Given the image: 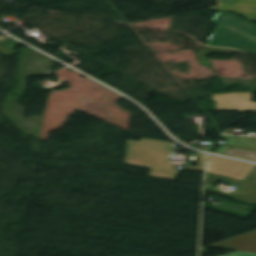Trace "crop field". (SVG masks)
<instances>
[{
    "instance_id": "8a807250",
    "label": "crop field",
    "mask_w": 256,
    "mask_h": 256,
    "mask_svg": "<svg viewBox=\"0 0 256 256\" xmlns=\"http://www.w3.org/2000/svg\"><path fill=\"white\" fill-rule=\"evenodd\" d=\"M175 144L141 138L128 141L124 164L151 168L147 176L175 180L181 170L169 163Z\"/></svg>"
},
{
    "instance_id": "ac0d7876",
    "label": "crop field",
    "mask_w": 256,
    "mask_h": 256,
    "mask_svg": "<svg viewBox=\"0 0 256 256\" xmlns=\"http://www.w3.org/2000/svg\"><path fill=\"white\" fill-rule=\"evenodd\" d=\"M217 179L241 185L231 194L205 188L206 191L256 203V166L243 182L207 173L206 183L212 185Z\"/></svg>"
},
{
    "instance_id": "34b2d1b8",
    "label": "crop field",
    "mask_w": 256,
    "mask_h": 256,
    "mask_svg": "<svg viewBox=\"0 0 256 256\" xmlns=\"http://www.w3.org/2000/svg\"><path fill=\"white\" fill-rule=\"evenodd\" d=\"M206 45L236 48L244 52H256V41L216 26Z\"/></svg>"
},
{
    "instance_id": "412701ff",
    "label": "crop field",
    "mask_w": 256,
    "mask_h": 256,
    "mask_svg": "<svg viewBox=\"0 0 256 256\" xmlns=\"http://www.w3.org/2000/svg\"><path fill=\"white\" fill-rule=\"evenodd\" d=\"M254 166L209 155L207 172L243 181Z\"/></svg>"
},
{
    "instance_id": "f4fd0767",
    "label": "crop field",
    "mask_w": 256,
    "mask_h": 256,
    "mask_svg": "<svg viewBox=\"0 0 256 256\" xmlns=\"http://www.w3.org/2000/svg\"><path fill=\"white\" fill-rule=\"evenodd\" d=\"M212 21L217 25L256 40V25L254 24L223 12H217Z\"/></svg>"
},
{
    "instance_id": "dd49c442",
    "label": "crop field",
    "mask_w": 256,
    "mask_h": 256,
    "mask_svg": "<svg viewBox=\"0 0 256 256\" xmlns=\"http://www.w3.org/2000/svg\"><path fill=\"white\" fill-rule=\"evenodd\" d=\"M215 10L234 11L237 15L256 20V0H219Z\"/></svg>"
},
{
    "instance_id": "e52e79f7",
    "label": "crop field",
    "mask_w": 256,
    "mask_h": 256,
    "mask_svg": "<svg viewBox=\"0 0 256 256\" xmlns=\"http://www.w3.org/2000/svg\"><path fill=\"white\" fill-rule=\"evenodd\" d=\"M213 245L219 249L256 252V230Z\"/></svg>"
},
{
    "instance_id": "d8731c3e",
    "label": "crop field",
    "mask_w": 256,
    "mask_h": 256,
    "mask_svg": "<svg viewBox=\"0 0 256 256\" xmlns=\"http://www.w3.org/2000/svg\"><path fill=\"white\" fill-rule=\"evenodd\" d=\"M235 51H237V50H230V49L203 46L202 48H200L198 50V52L196 54L198 55V57L200 58V60L204 64V66H208V65H210V63L208 62V60L206 58L207 54L212 53V52H221V53L231 54Z\"/></svg>"
},
{
    "instance_id": "5a996713",
    "label": "crop field",
    "mask_w": 256,
    "mask_h": 256,
    "mask_svg": "<svg viewBox=\"0 0 256 256\" xmlns=\"http://www.w3.org/2000/svg\"><path fill=\"white\" fill-rule=\"evenodd\" d=\"M226 155L236 157V158L256 161V153H254V152L229 149V151L226 153Z\"/></svg>"
},
{
    "instance_id": "3316defc",
    "label": "crop field",
    "mask_w": 256,
    "mask_h": 256,
    "mask_svg": "<svg viewBox=\"0 0 256 256\" xmlns=\"http://www.w3.org/2000/svg\"><path fill=\"white\" fill-rule=\"evenodd\" d=\"M205 155L198 153L197 167L185 165L183 170L203 171Z\"/></svg>"
},
{
    "instance_id": "28ad6ade",
    "label": "crop field",
    "mask_w": 256,
    "mask_h": 256,
    "mask_svg": "<svg viewBox=\"0 0 256 256\" xmlns=\"http://www.w3.org/2000/svg\"><path fill=\"white\" fill-rule=\"evenodd\" d=\"M223 256H256V253L237 251Z\"/></svg>"
}]
</instances>
